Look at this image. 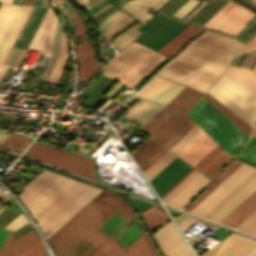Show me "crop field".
I'll return each mask as SVG.
<instances>
[{"label": "crop field", "instance_id": "obj_1", "mask_svg": "<svg viewBox=\"0 0 256 256\" xmlns=\"http://www.w3.org/2000/svg\"><path fill=\"white\" fill-rule=\"evenodd\" d=\"M111 213L127 221L135 216L123 200L102 191L47 240L55 256H90L111 237L97 229Z\"/></svg>", "mask_w": 256, "mask_h": 256}, {"label": "crop field", "instance_id": "obj_2", "mask_svg": "<svg viewBox=\"0 0 256 256\" xmlns=\"http://www.w3.org/2000/svg\"><path fill=\"white\" fill-rule=\"evenodd\" d=\"M166 60L168 59L132 42L109 60L103 74L135 88Z\"/></svg>", "mask_w": 256, "mask_h": 256}, {"label": "crop field", "instance_id": "obj_3", "mask_svg": "<svg viewBox=\"0 0 256 256\" xmlns=\"http://www.w3.org/2000/svg\"><path fill=\"white\" fill-rule=\"evenodd\" d=\"M57 28H58V18L55 15V12L48 8L39 28L37 29L29 47L35 48L40 51H43V56L48 57L51 49L54 45V42L57 38ZM63 37L64 33L61 28V24L59 22V28H58V38L55 42V45L52 49V52L50 54V61L47 64L46 68L41 74V78L43 80H47L55 62L58 56V53L60 51L61 45L63 43ZM67 53V43H66V37L64 38V43L62 45L61 51L59 53L56 65L48 79V82L57 84L66 64V60L68 58Z\"/></svg>", "mask_w": 256, "mask_h": 256}, {"label": "crop field", "instance_id": "obj_4", "mask_svg": "<svg viewBox=\"0 0 256 256\" xmlns=\"http://www.w3.org/2000/svg\"><path fill=\"white\" fill-rule=\"evenodd\" d=\"M188 114L231 156H234L249 138L203 97Z\"/></svg>", "mask_w": 256, "mask_h": 256}, {"label": "crop field", "instance_id": "obj_5", "mask_svg": "<svg viewBox=\"0 0 256 256\" xmlns=\"http://www.w3.org/2000/svg\"><path fill=\"white\" fill-rule=\"evenodd\" d=\"M74 182L44 170L18 197L34 218Z\"/></svg>", "mask_w": 256, "mask_h": 256}, {"label": "crop field", "instance_id": "obj_6", "mask_svg": "<svg viewBox=\"0 0 256 256\" xmlns=\"http://www.w3.org/2000/svg\"><path fill=\"white\" fill-rule=\"evenodd\" d=\"M195 125L184 113L163 107L140 130L170 149Z\"/></svg>", "mask_w": 256, "mask_h": 256}, {"label": "crop field", "instance_id": "obj_7", "mask_svg": "<svg viewBox=\"0 0 256 256\" xmlns=\"http://www.w3.org/2000/svg\"><path fill=\"white\" fill-rule=\"evenodd\" d=\"M208 93L253 128L256 119V96L223 76Z\"/></svg>", "mask_w": 256, "mask_h": 256}, {"label": "crop field", "instance_id": "obj_8", "mask_svg": "<svg viewBox=\"0 0 256 256\" xmlns=\"http://www.w3.org/2000/svg\"><path fill=\"white\" fill-rule=\"evenodd\" d=\"M25 154L95 179L92 161L85 158L35 142Z\"/></svg>", "mask_w": 256, "mask_h": 256}, {"label": "crop field", "instance_id": "obj_9", "mask_svg": "<svg viewBox=\"0 0 256 256\" xmlns=\"http://www.w3.org/2000/svg\"><path fill=\"white\" fill-rule=\"evenodd\" d=\"M157 75L191 86L203 92H205L219 76V74L176 59Z\"/></svg>", "mask_w": 256, "mask_h": 256}, {"label": "crop field", "instance_id": "obj_10", "mask_svg": "<svg viewBox=\"0 0 256 256\" xmlns=\"http://www.w3.org/2000/svg\"><path fill=\"white\" fill-rule=\"evenodd\" d=\"M255 14L247 8L228 0L223 8L204 27L236 35Z\"/></svg>", "mask_w": 256, "mask_h": 256}, {"label": "crop field", "instance_id": "obj_11", "mask_svg": "<svg viewBox=\"0 0 256 256\" xmlns=\"http://www.w3.org/2000/svg\"><path fill=\"white\" fill-rule=\"evenodd\" d=\"M93 187L75 182L34 219L42 232L73 206Z\"/></svg>", "mask_w": 256, "mask_h": 256}, {"label": "crop field", "instance_id": "obj_12", "mask_svg": "<svg viewBox=\"0 0 256 256\" xmlns=\"http://www.w3.org/2000/svg\"><path fill=\"white\" fill-rule=\"evenodd\" d=\"M254 170L255 168L243 164L232 175L230 174L231 176H229L222 184H220L194 209H192L190 213L203 217Z\"/></svg>", "mask_w": 256, "mask_h": 256}, {"label": "crop field", "instance_id": "obj_13", "mask_svg": "<svg viewBox=\"0 0 256 256\" xmlns=\"http://www.w3.org/2000/svg\"><path fill=\"white\" fill-rule=\"evenodd\" d=\"M89 29L90 27L85 25L80 14L76 12V29L74 37L86 38ZM76 51L80 66V81L88 82L89 77L97 72L100 65L96 61L87 39L83 40Z\"/></svg>", "mask_w": 256, "mask_h": 256}, {"label": "crop field", "instance_id": "obj_14", "mask_svg": "<svg viewBox=\"0 0 256 256\" xmlns=\"http://www.w3.org/2000/svg\"><path fill=\"white\" fill-rule=\"evenodd\" d=\"M141 236V235H140ZM91 256H158L145 233L128 248L115 242L111 237Z\"/></svg>", "mask_w": 256, "mask_h": 256}, {"label": "crop field", "instance_id": "obj_15", "mask_svg": "<svg viewBox=\"0 0 256 256\" xmlns=\"http://www.w3.org/2000/svg\"><path fill=\"white\" fill-rule=\"evenodd\" d=\"M153 235L166 256H194L171 221Z\"/></svg>", "mask_w": 256, "mask_h": 256}, {"label": "crop field", "instance_id": "obj_16", "mask_svg": "<svg viewBox=\"0 0 256 256\" xmlns=\"http://www.w3.org/2000/svg\"><path fill=\"white\" fill-rule=\"evenodd\" d=\"M191 168L192 167L176 157L150 182L161 197Z\"/></svg>", "mask_w": 256, "mask_h": 256}, {"label": "crop field", "instance_id": "obj_17", "mask_svg": "<svg viewBox=\"0 0 256 256\" xmlns=\"http://www.w3.org/2000/svg\"><path fill=\"white\" fill-rule=\"evenodd\" d=\"M256 247V242L232 233L203 256H243Z\"/></svg>", "mask_w": 256, "mask_h": 256}, {"label": "crop field", "instance_id": "obj_18", "mask_svg": "<svg viewBox=\"0 0 256 256\" xmlns=\"http://www.w3.org/2000/svg\"><path fill=\"white\" fill-rule=\"evenodd\" d=\"M167 151V149L149 137L131 154L144 173Z\"/></svg>", "mask_w": 256, "mask_h": 256}, {"label": "crop field", "instance_id": "obj_19", "mask_svg": "<svg viewBox=\"0 0 256 256\" xmlns=\"http://www.w3.org/2000/svg\"><path fill=\"white\" fill-rule=\"evenodd\" d=\"M216 145L217 144L203 132L178 156L194 167Z\"/></svg>", "mask_w": 256, "mask_h": 256}, {"label": "crop field", "instance_id": "obj_20", "mask_svg": "<svg viewBox=\"0 0 256 256\" xmlns=\"http://www.w3.org/2000/svg\"><path fill=\"white\" fill-rule=\"evenodd\" d=\"M190 53L210 59L212 61L228 65L233 53L216 48L214 46L194 40L186 49Z\"/></svg>", "mask_w": 256, "mask_h": 256}, {"label": "crop field", "instance_id": "obj_21", "mask_svg": "<svg viewBox=\"0 0 256 256\" xmlns=\"http://www.w3.org/2000/svg\"><path fill=\"white\" fill-rule=\"evenodd\" d=\"M40 243L42 242L33 229L9 242L3 256H19Z\"/></svg>", "mask_w": 256, "mask_h": 256}, {"label": "crop field", "instance_id": "obj_22", "mask_svg": "<svg viewBox=\"0 0 256 256\" xmlns=\"http://www.w3.org/2000/svg\"><path fill=\"white\" fill-rule=\"evenodd\" d=\"M256 209V191L238 206L221 224L236 228Z\"/></svg>", "mask_w": 256, "mask_h": 256}, {"label": "crop field", "instance_id": "obj_23", "mask_svg": "<svg viewBox=\"0 0 256 256\" xmlns=\"http://www.w3.org/2000/svg\"><path fill=\"white\" fill-rule=\"evenodd\" d=\"M202 30L203 29L196 26L189 25L157 52L169 58L175 54L189 39L199 34Z\"/></svg>", "mask_w": 256, "mask_h": 256}, {"label": "crop field", "instance_id": "obj_24", "mask_svg": "<svg viewBox=\"0 0 256 256\" xmlns=\"http://www.w3.org/2000/svg\"><path fill=\"white\" fill-rule=\"evenodd\" d=\"M255 190L256 177L247 186H245L237 195H235L226 205H224L216 214H214L211 217V219L221 222Z\"/></svg>", "mask_w": 256, "mask_h": 256}, {"label": "crop field", "instance_id": "obj_25", "mask_svg": "<svg viewBox=\"0 0 256 256\" xmlns=\"http://www.w3.org/2000/svg\"><path fill=\"white\" fill-rule=\"evenodd\" d=\"M100 192L101 190L94 188L84 198H82L77 204H75L69 211H67L62 217H60L55 223H53L47 230H45L43 234L46 240Z\"/></svg>", "mask_w": 256, "mask_h": 256}, {"label": "crop field", "instance_id": "obj_26", "mask_svg": "<svg viewBox=\"0 0 256 256\" xmlns=\"http://www.w3.org/2000/svg\"><path fill=\"white\" fill-rule=\"evenodd\" d=\"M208 182V179L202 175H198L191 181L177 196H175L169 204L181 208L188 203Z\"/></svg>", "mask_w": 256, "mask_h": 256}, {"label": "crop field", "instance_id": "obj_27", "mask_svg": "<svg viewBox=\"0 0 256 256\" xmlns=\"http://www.w3.org/2000/svg\"><path fill=\"white\" fill-rule=\"evenodd\" d=\"M202 92L184 87L167 106L187 111L194 102L202 95Z\"/></svg>", "mask_w": 256, "mask_h": 256}, {"label": "crop field", "instance_id": "obj_28", "mask_svg": "<svg viewBox=\"0 0 256 256\" xmlns=\"http://www.w3.org/2000/svg\"><path fill=\"white\" fill-rule=\"evenodd\" d=\"M197 40L228 50L233 53H235L242 45V43L238 42L235 39L224 37L211 32H206L201 38Z\"/></svg>", "mask_w": 256, "mask_h": 256}, {"label": "crop field", "instance_id": "obj_29", "mask_svg": "<svg viewBox=\"0 0 256 256\" xmlns=\"http://www.w3.org/2000/svg\"><path fill=\"white\" fill-rule=\"evenodd\" d=\"M176 59L208 69L219 74H221L223 70L226 68V66H223L224 64L221 65L185 51H183L179 56H177Z\"/></svg>", "mask_w": 256, "mask_h": 256}, {"label": "crop field", "instance_id": "obj_30", "mask_svg": "<svg viewBox=\"0 0 256 256\" xmlns=\"http://www.w3.org/2000/svg\"><path fill=\"white\" fill-rule=\"evenodd\" d=\"M242 163L233 160L226 169L212 182V184L190 205L185 211L189 212L210 192H212L220 183H222L230 174H232Z\"/></svg>", "mask_w": 256, "mask_h": 256}, {"label": "crop field", "instance_id": "obj_31", "mask_svg": "<svg viewBox=\"0 0 256 256\" xmlns=\"http://www.w3.org/2000/svg\"><path fill=\"white\" fill-rule=\"evenodd\" d=\"M170 81L155 76L136 96L152 101Z\"/></svg>", "mask_w": 256, "mask_h": 256}, {"label": "crop field", "instance_id": "obj_32", "mask_svg": "<svg viewBox=\"0 0 256 256\" xmlns=\"http://www.w3.org/2000/svg\"><path fill=\"white\" fill-rule=\"evenodd\" d=\"M142 215L151 232L169 220V217L166 215V213L162 212L156 206L142 213Z\"/></svg>", "mask_w": 256, "mask_h": 256}, {"label": "crop field", "instance_id": "obj_33", "mask_svg": "<svg viewBox=\"0 0 256 256\" xmlns=\"http://www.w3.org/2000/svg\"><path fill=\"white\" fill-rule=\"evenodd\" d=\"M207 99L213 106H215L221 113H223L229 120H231L237 127H239L245 134L250 136L252 129L249 128L245 123H243L239 118L232 114L228 109L221 105L217 100H215L208 93L203 96Z\"/></svg>", "mask_w": 256, "mask_h": 256}, {"label": "crop field", "instance_id": "obj_34", "mask_svg": "<svg viewBox=\"0 0 256 256\" xmlns=\"http://www.w3.org/2000/svg\"><path fill=\"white\" fill-rule=\"evenodd\" d=\"M149 8L151 7L136 2H128L121 7L122 10L127 11L135 19L139 20L142 23L150 19V17L152 16L146 12Z\"/></svg>", "mask_w": 256, "mask_h": 256}, {"label": "crop field", "instance_id": "obj_35", "mask_svg": "<svg viewBox=\"0 0 256 256\" xmlns=\"http://www.w3.org/2000/svg\"><path fill=\"white\" fill-rule=\"evenodd\" d=\"M18 6L1 4L0 6V41L6 32Z\"/></svg>", "mask_w": 256, "mask_h": 256}, {"label": "crop field", "instance_id": "obj_36", "mask_svg": "<svg viewBox=\"0 0 256 256\" xmlns=\"http://www.w3.org/2000/svg\"><path fill=\"white\" fill-rule=\"evenodd\" d=\"M229 159L230 157L223 151L201 173L204 174L209 179H211Z\"/></svg>", "mask_w": 256, "mask_h": 256}, {"label": "crop field", "instance_id": "obj_37", "mask_svg": "<svg viewBox=\"0 0 256 256\" xmlns=\"http://www.w3.org/2000/svg\"><path fill=\"white\" fill-rule=\"evenodd\" d=\"M203 131L196 125L191 131H189L177 144H175L170 150L177 155L186 148L196 137H198Z\"/></svg>", "mask_w": 256, "mask_h": 256}, {"label": "crop field", "instance_id": "obj_38", "mask_svg": "<svg viewBox=\"0 0 256 256\" xmlns=\"http://www.w3.org/2000/svg\"><path fill=\"white\" fill-rule=\"evenodd\" d=\"M164 155V154H163ZM162 155V156H163ZM176 156L169 151L161 157L151 168H149L144 174L150 181L155 175H157L169 162H171Z\"/></svg>", "mask_w": 256, "mask_h": 256}, {"label": "crop field", "instance_id": "obj_39", "mask_svg": "<svg viewBox=\"0 0 256 256\" xmlns=\"http://www.w3.org/2000/svg\"><path fill=\"white\" fill-rule=\"evenodd\" d=\"M182 88L183 86L171 82L153 102L166 105Z\"/></svg>", "mask_w": 256, "mask_h": 256}, {"label": "crop field", "instance_id": "obj_40", "mask_svg": "<svg viewBox=\"0 0 256 256\" xmlns=\"http://www.w3.org/2000/svg\"><path fill=\"white\" fill-rule=\"evenodd\" d=\"M236 158L256 166V138L252 137L247 146L236 156Z\"/></svg>", "mask_w": 256, "mask_h": 256}, {"label": "crop field", "instance_id": "obj_41", "mask_svg": "<svg viewBox=\"0 0 256 256\" xmlns=\"http://www.w3.org/2000/svg\"><path fill=\"white\" fill-rule=\"evenodd\" d=\"M30 141L22 136L10 134L2 146L23 151Z\"/></svg>", "mask_w": 256, "mask_h": 256}, {"label": "crop field", "instance_id": "obj_42", "mask_svg": "<svg viewBox=\"0 0 256 256\" xmlns=\"http://www.w3.org/2000/svg\"><path fill=\"white\" fill-rule=\"evenodd\" d=\"M162 106L150 103L143 111H141L133 120L145 124L152 116H154Z\"/></svg>", "mask_w": 256, "mask_h": 256}, {"label": "crop field", "instance_id": "obj_43", "mask_svg": "<svg viewBox=\"0 0 256 256\" xmlns=\"http://www.w3.org/2000/svg\"><path fill=\"white\" fill-rule=\"evenodd\" d=\"M223 76L227 77L228 79L232 80L236 84L240 85L241 87L245 88L246 90H248L251 93H253L254 95H256V85L246 81L245 79H243L227 70Z\"/></svg>", "mask_w": 256, "mask_h": 256}, {"label": "crop field", "instance_id": "obj_44", "mask_svg": "<svg viewBox=\"0 0 256 256\" xmlns=\"http://www.w3.org/2000/svg\"><path fill=\"white\" fill-rule=\"evenodd\" d=\"M24 8H25V6H19V8H18V10H17V12H16V14H15V16H14V18H13V20H12L8 30H7V32H6V34L4 35V37H3V39H2V41L0 43V55H1V53H2V51L4 49V47H5L8 39H9V37H10V35L12 34V32H13V30H14V28H15V26H16V24H17V22H18V20H19V18L21 16Z\"/></svg>", "mask_w": 256, "mask_h": 256}, {"label": "crop field", "instance_id": "obj_45", "mask_svg": "<svg viewBox=\"0 0 256 256\" xmlns=\"http://www.w3.org/2000/svg\"><path fill=\"white\" fill-rule=\"evenodd\" d=\"M126 13L118 10L115 13H113L111 16L103 20L101 23H99V28L101 29V32H104L106 29L114 25L116 22L124 18Z\"/></svg>", "mask_w": 256, "mask_h": 256}, {"label": "crop field", "instance_id": "obj_46", "mask_svg": "<svg viewBox=\"0 0 256 256\" xmlns=\"http://www.w3.org/2000/svg\"><path fill=\"white\" fill-rule=\"evenodd\" d=\"M223 150L217 145L206 157H204L194 168L202 171L211 161H213Z\"/></svg>", "mask_w": 256, "mask_h": 256}, {"label": "crop field", "instance_id": "obj_47", "mask_svg": "<svg viewBox=\"0 0 256 256\" xmlns=\"http://www.w3.org/2000/svg\"><path fill=\"white\" fill-rule=\"evenodd\" d=\"M227 0H219L209 11H207L197 22L203 26L211 17H213L226 3Z\"/></svg>", "mask_w": 256, "mask_h": 256}, {"label": "crop field", "instance_id": "obj_48", "mask_svg": "<svg viewBox=\"0 0 256 256\" xmlns=\"http://www.w3.org/2000/svg\"><path fill=\"white\" fill-rule=\"evenodd\" d=\"M240 231H244L250 234L254 229H256V212L252 214L243 224L238 228Z\"/></svg>", "mask_w": 256, "mask_h": 256}, {"label": "crop field", "instance_id": "obj_49", "mask_svg": "<svg viewBox=\"0 0 256 256\" xmlns=\"http://www.w3.org/2000/svg\"><path fill=\"white\" fill-rule=\"evenodd\" d=\"M199 173L195 170L191 175H189L179 186H177L168 196L163 200L168 202L172 197H174L182 188H184L193 178H195Z\"/></svg>", "mask_w": 256, "mask_h": 256}, {"label": "crop field", "instance_id": "obj_50", "mask_svg": "<svg viewBox=\"0 0 256 256\" xmlns=\"http://www.w3.org/2000/svg\"><path fill=\"white\" fill-rule=\"evenodd\" d=\"M228 70L256 83V73L249 71V70H244L236 67H229Z\"/></svg>", "mask_w": 256, "mask_h": 256}, {"label": "crop field", "instance_id": "obj_51", "mask_svg": "<svg viewBox=\"0 0 256 256\" xmlns=\"http://www.w3.org/2000/svg\"><path fill=\"white\" fill-rule=\"evenodd\" d=\"M199 1L189 0L182 7H180L172 16L181 19L190 9H192Z\"/></svg>", "mask_w": 256, "mask_h": 256}, {"label": "crop field", "instance_id": "obj_52", "mask_svg": "<svg viewBox=\"0 0 256 256\" xmlns=\"http://www.w3.org/2000/svg\"><path fill=\"white\" fill-rule=\"evenodd\" d=\"M28 223L26 217L21 213L14 221H12L6 229L14 231L19 227L23 226L24 224Z\"/></svg>", "mask_w": 256, "mask_h": 256}, {"label": "crop field", "instance_id": "obj_53", "mask_svg": "<svg viewBox=\"0 0 256 256\" xmlns=\"http://www.w3.org/2000/svg\"><path fill=\"white\" fill-rule=\"evenodd\" d=\"M149 102L141 100L134 108H132L125 117L132 119L135 115H137L145 106H147Z\"/></svg>", "mask_w": 256, "mask_h": 256}, {"label": "crop field", "instance_id": "obj_54", "mask_svg": "<svg viewBox=\"0 0 256 256\" xmlns=\"http://www.w3.org/2000/svg\"><path fill=\"white\" fill-rule=\"evenodd\" d=\"M251 1L256 3V0H251ZM255 49H256V36H254L245 46H243L236 56H239L247 51H251Z\"/></svg>", "mask_w": 256, "mask_h": 256}, {"label": "crop field", "instance_id": "obj_55", "mask_svg": "<svg viewBox=\"0 0 256 256\" xmlns=\"http://www.w3.org/2000/svg\"><path fill=\"white\" fill-rule=\"evenodd\" d=\"M21 256H47V254L45 252L43 244H40Z\"/></svg>", "mask_w": 256, "mask_h": 256}, {"label": "crop field", "instance_id": "obj_56", "mask_svg": "<svg viewBox=\"0 0 256 256\" xmlns=\"http://www.w3.org/2000/svg\"><path fill=\"white\" fill-rule=\"evenodd\" d=\"M197 220H194L192 218L187 217L185 220H183L181 223H179V227L181 228L182 232L185 231L187 228H189L191 225H193Z\"/></svg>", "mask_w": 256, "mask_h": 256}, {"label": "crop field", "instance_id": "obj_57", "mask_svg": "<svg viewBox=\"0 0 256 256\" xmlns=\"http://www.w3.org/2000/svg\"><path fill=\"white\" fill-rule=\"evenodd\" d=\"M195 169H191L185 176H183L169 191H167L161 199H163L166 195H168L178 184H180L189 174H191Z\"/></svg>", "mask_w": 256, "mask_h": 256}, {"label": "crop field", "instance_id": "obj_58", "mask_svg": "<svg viewBox=\"0 0 256 256\" xmlns=\"http://www.w3.org/2000/svg\"><path fill=\"white\" fill-rule=\"evenodd\" d=\"M11 234L12 233L8 232V234H7L5 240H4V242H3V244H2V246L0 248V256L2 255V253H3V251H4L5 247H6V244H7L8 240H9Z\"/></svg>", "mask_w": 256, "mask_h": 256}, {"label": "crop field", "instance_id": "obj_59", "mask_svg": "<svg viewBox=\"0 0 256 256\" xmlns=\"http://www.w3.org/2000/svg\"><path fill=\"white\" fill-rule=\"evenodd\" d=\"M6 234H7V231L0 228V246L5 238Z\"/></svg>", "mask_w": 256, "mask_h": 256}, {"label": "crop field", "instance_id": "obj_60", "mask_svg": "<svg viewBox=\"0 0 256 256\" xmlns=\"http://www.w3.org/2000/svg\"><path fill=\"white\" fill-rule=\"evenodd\" d=\"M0 197L6 201L10 200L11 198L9 196H7L3 190L0 188Z\"/></svg>", "mask_w": 256, "mask_h": 256}, {"label": "crop field", "instance_id": "obj_61", "mask_svg": "<svg viewBox=\"0 0 256 256\" xmlns=\"http://www.w3.org/2000/svg\"><path fill=\"white\" fill-rule=\"evenodd\" d=\"M9 134L7 133H1L0 132V145L3 143V141L8 137Z\"/></svg>", "mask_w": 256, "mask_h": 256}, {"label": "crop field", "instance_id": "obj_62", "mask_svg": "<svg viewBox=\"0 0 256 256\" xmlns=\"http://www.w3.org/2000/svg\"><path fill=\"white\" fill-rule=\"evenodd\" d=\"M136 1H139V2H144V3H147L149 5H153L155 2H157L158 0H136Z\"/></svg>", "mask_w": 256, "mask_h": 256}, {"label": "crop field", "instance_id": "obj_63", "mask_svg": "<svg viewBox=\"0 0 256 256\" xmlns=\"http://www.w3.org/2000/svg\"><path fill=\"white\" fill-rule=\"evenodd\" d=\"M186 216L180 214L179 216H177L175 219L176 223L178 224L179 222H181L183 219H185Z\"/></svg>", "mask_w": 256, "mask_h": 256}, {"label": "crop field", "instance_id": "obj_64", "mask_svg": "<svg viewBox=\"0 0 256 256\" xmlns=\"http://www.w3.org/2000/svg\"><path fill=\"white\" fill-rule=\"evenodd\" d=\"M166 0H160L159 2H157L155 5H153V7H155L157 10L162 6V4L165 2Z\"/></svg>", "mask_w": 256, "mask_h": 256}, {"label": "crop field", "instance_id": "obj_65", "mask_svg": "<svg viewBox=\"0 0 256 256\" xmlns=\"http://www.w3.org/2000/svg\"><path fill=\"white\" fill-rule=\"evenodd\" d=\"M244 256H256V248H254L253 250H251L249 253H247Z\"/></svg>", "mask_w": 256, "mask_h": 256}, {"label": "crop field", "instance_id": "obj_66", "mask_svg": "<svg viewBox=\"0 0 256 256\" xmlns=\"http://www.w3.org/2000/svg\"><path fill=\"white\" fill-rule=\"evenodd\" d=\"M43 0H34V5L42 6Z\"/></svg>", "mask_w": 256, "mask_h": 256}, {"label": "crop field", "instance_id": "obj_67", "mask_svg": "<svg viewBox=\"0 0 256 256\" xmlns=\"http://www.w3.org/2000/svg\"><path fill=\"white\" fill-rule=\"evenodd\" d=\"M6 68H7V67L0 65V76H2V74L4 73V71L6 70Z\"/></svg>", "mask_w": 256, "mask_h": 256}, {"label": "crop field", "instance_id": "obj_68", "mask_svg": "<svg viewBox=\"0 0 256 256\" xmlns=\"http://www.w3.org/2000/svg\"><path fill=\"white\" fill-rule=\"evenodd\" d=\"M23 4L33 5V0H23Z\"/></svg>", "mask_w": 256, "mask_h": 256}, {"label": "crop field", "instance_id": "obj_69", "mask_svg": "<svg viewBox=\"0 0 256 256\" xmlns=\"http://www.w3.org/2000/svg\"><path fill=\"white\" fill-rule=\"evenodd\" d=\"M205 2H206V1H205ZM205 2H204V3H205ZM204 3H203V4H204ZM203 4H202V5H203ZM202 5H201V6H202ZM201 6H199L193 13H195ZM193 13H192V14H193ZM192 14H191V15H192ZM191 15H190V16H191ZM190 16H188L185 20H187Z\"/></svg>", "mask_w": 256, "mask_h": 256}, {"label": "crop field", "instance_id": "obj_70", "mask_svg": "<svg viewBox=\"0 0 256 256\" xmlns=\"http://www.w3.org/2000/svg\"><path fill=\"white\" fill-rule=\"evenodd\" d=\"M0 2L11 3V0H0Z\"/></svg>", "mask_w": 256, "mask_h": 256}, {"label": "crop field", "instance_id": "obj_71", "mask_svg": "<svg viewBox=\"0 0 256 256\" xmlns=\"http://www.w3.org/2000/svg\"><path fill=\"white\" fill-rule=\"evenodd\" d=\"M239 1H241V2H243V3H246L245 1H243V0H239ZM246 4H248V3H246ZM249 5V4H248ZM249 6H251V5H249ZM251 7H253V6H251ZM254 8V7H253ZM252 8V9H253ZM254 9H256V8H254ZM256 11V10H255Z\"/></svg>", "mask_w": 256, "mask_h": 256}, {"label": "crop field", "instance_id": "obj_72", "mask_svg": "<svg viewBox=\"0 0 256 256\" xmlns=\"http://www.w3.org/2000/svg\"><path fill=\"white\" fill-rule=\"evenodd\" d=\"M74 1H76L78 4L82 5L81 0H74Z\"/></svg>", "mask_w": 256, "mask_h": 256}, {"label": "crop field", "instance_id": "obj_73", "mask_svg": "<svg viewBox=\"0 0 256 256\" xmlns=\"http://www.w3.org/2000/svg\"><path fill=\"white\" fill-rule=\"evenodd\" d=\"M2 203H4V202L2 201V202L0 203V205H1ZM4 204H5V206L8 205V204H6V203H4ZM5 206H4V207H5ZM4 207H3V208H4ZM3 208H1L0 211H1Z\"/></svg>", "mask_w": 256, "mask_h": 256}, {"label": "crop field", "instance_id": "obj_74", "mask_svg": "<svg viewBox=\"0 0 256 256\" xmlns=\"http://www.w3.org/2000/svg\"><path fill=\"white\" fill-rule=\"evenodd\" d=\"M251 235L256 236V230L251 233Z\"/></svg>", "mask_w": 256, "mask_h": 256}, {"label": "crop field", "instance_id": "obj_75", "mask_svg": "<svg viewBox=\"0 0 256 256\" xmlns=\"http://www.w3.org/2000/svg\"><path fill=\"white\" fill-rule=\"evenodd\" d=\"M254 70H256V64H255V66H254V68H253Z\"/></svg>", "mask_w": 256, "mask_h": 256}, {"label": "crop field", "instance_id": "obj_76", "mask_svg": "<svg viewBox=\"0 0 256 256\" xmlns=\"http://www.w3.org/2000/svg\"><path fill=\"white\" fill-rule=\"evenodd\" d=\"M254 135L256 136V130H255V134Z\"/></svg>", "mask_w": 256, "mask_h": 256}, {"label": "crop field", "instance_id": "obj_77", "mask_svg": "<svg viewBox=\"0 0 256 256\" xmlns=\"http://www.w3.org/2000/svg\"><path fill=\"white\" fill-rule=\"evenodd\" d=\"M132 1H134V0H132Z\"/></svg>", "mask_w": 256, "mask_h": 256}]
</instances>
